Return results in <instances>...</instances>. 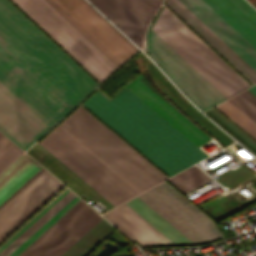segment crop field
Masks as SVG:
<instances>
[{"label": "crop field", "mask_w": 256, "mask_h": 256, "mask_svg": "<svg viewBox=\"0 0 256 256\" xmlns=\"http://www.w3.org/2000/svg\"><path fill=\"white\" fill-rule=\"evenodd\" d=\"M98 84L0 0V130L26 150Z\"/></svg>", "instance_id": "1"}, {"label": "crop field", "mask_w": 256, "mask_h": 256, "mask_svg": "<svg viewBox=\"0 0 256 256\" xmlns=\"http://www.w3.org/2000/svg\"><path fill=\"white\" fill-rule=\"evenodd\" d=\"M72 112L104 139L113 134L80 106ZM72 112L38 143L111 204L167 179L117 136L104 140Z\"/></svg>", "instance_id": "2"}, {"label": "crop field", "mask_w": 256, "mask_h": 256, "mask_svg": "<svg viewBox=\"0 0 256 256\" xmlns=\"http://www.w3.org/2000/svg\"><path fill=\"white\" fill-rule=\"evenodd\" d=\"M170 176L208 157L211 140L137 78L111 101L99 90L83 103Z\"/></svg>", "instance_id": "3"}, {"label": "crop field", "mask_w": 256, "mask_h": 256, "mask_svg": "<svg viewBox=\"0 0 256 256\" xmlns=\"http://www.w3.org/2000/svg\"><path fill=\"white\" fill-rule=\"evenodd\" d=\"M37 24L56 7L119 65L138 49L85 0H12ZM38 25L64 49L83 32L58 9ZM65 50L100 82L119 65L85 34Z\"/></svg>", "instance_id": "4"}, {"label": "crop field", "mask_w": 256, "mask_h": 256, "mask_svg": "<svg viewBox=\"0 0 256 256\" xmlns=\"http://www.w3.org/2000/svg\"><path fill=\"white\" fill-rule=\"evenodd\" d=\"M151 30L226 98L250 86L165 7Z\"/></svg>", "instance_id": "5"}, {"label": "crop field", "mask_w": 256, "mask_h": 256, "mask_svg": "<svg viewBox=\"0 0 256 256\" xmlns=\"http://www.w3.org/2000/svg\"><path fill=\"white\" fill-rule=\"evenodd\" d=\"M167 5L253 84L256 50L203 0H169Z\"/></svg>", "instance_id": "6"}, {"label": "crop field", "mask_w": 256, "mask_h": 256, "mask_svg": "<svg viewBox=\"0 0 256 256\" xmlns=\"http://www.w3.org/2000/svg\"><path fill=\"white\" fill-rule=\"evenodd\" d=\"M137 197L194 244L223 238L217 224L165 181Z\"/></svg>", "instance_id": "7"}, {"label": "crop field", "mask_w": 256, "mask_h": 256, "mask_svg": "<svg viewBox=\"0 0 256 256\" xmlns=\"http://www.w3.org/2000/svg\"><path fill=\"white\" fill-rule=\"evenodd\" d=\"M103 216L141 247L193 244L137 197Z\"/></svg>", "instance_id": "8"}, {"label": "crop field", "mask_w": 256, "mask_h": 256, "mask_svg": "<svg viewBox=\"0 0 256 256\" xmlns=\"http://www.w3.org/2000/svg\"><path fill=\"white\" fill-rule=\"evenodd\" d=\"M147 47L148 55L200 109L205 111L226 99L152 31Z\"/></svg>", "instance_id": "9"}, {"label": "crop field", "mask_w": 256, "mask_h": 256, "mask_svg": "<svg viewBox=\"0 0 256 256\" xmlns=\"http://www.w3.org/2000/svg\"><path fill=\"white\" fill-rule=\"evenodd\" d=\"M64 186L43 169L0 207V243Z\"/></svg>", "instance_id": "10"}, {"label": "crop field", "mask_w": 256, "mask_h": 256, "mask_svg": "<svg viewBox=\"0 0 256 256\" xmlns=\"http://www.w3.org/2000/svg\"><path fill=\"white\" fill-rule=\"evenodd\" d=\"M70 192V190L65 188L5 243H3L0 246V256H19L76 204H78L81 200L76 197L74 193L70 194Z\"/></svg>", "instance_id": "11"}, {"label": "crop field", "mask_w": 256, "mask_h": 256, "mask_svg": "<svg viewBox=\"0 0 256 256\" xmlns=\"http://www.w3.org/2000/svg\"><path fill=\"white\" fill-rule=\"evenodd\" d=\"M256 49V11L245 0H204Z\"/></svg>", "instance_id": "12"}, {"label": "crop field", "mask_w": 256, "mask_h": 256, "mask_svg": "<svg viewBox=\"0 0 256 256\" xmlns=\"http://www.w3.org/2000/svg\"><path fill=\"white\" fill-rule=\"evenodd\" d=\"M148 73L155 85L169 97L178 107H180L187 115H189L200 126L211 133L225 146L234 142L230 137L220 131L208 119L198 113L185 98L171 85V83L159 72V70L146 58ZM216 139V140H217ZM222 144V145H223ZM223 145V146H224Z\"/></svg>", "instance_id": "13"}, {"label": "crop field", "mask_w": 256, "mask_h": 256, "mask_svg": "<svg viewBox=\"0 0 256 256\" xmlns=\"http://www.w3.org/2000/svg\"><path fill=\"white\" fill-rule=\"evenodd\" d=\"M108 19L141 47L146 24L120 0H89Z\"/></svg>", "instance_id": "14"}, {"label": "crop field", "mask_w": 256, "mask_h": 256, "mask_svg": "<svg viewBox=\"0 0 256 256\" xmlns=\"http://www.w3.org/2000/svg\"><path fill=\"white\" fill-rule=\"evenodd\" d=\"M101 219L89 208L36 256H61Z\"/></svg>", "instance_id": "15"}, {"label": "crop field", "mask_w": 256, "mask_h": 256, "mask_svg": "<svg viewBox=\"0 0 256 256\" xmlns=\"http://www.w3.org/2000/svg\"><path fill=\"white\" fill-rule=\"evenodd\" d=\"M41 168L24 155L0 175V205Z\"/></svg>", "instance_id": "16"}, {"label": "crop field", "mask_w": 256, "mask_h": 256, "mask_svg": "<svg viewBox=\"0 0 256 256\" xmlns=\"http://www.w3.org/2000/svg\"><path fill=\"white\" fill-rule=\"evenodd\" d=\"M89 207L82 201L20 256H35Z\"/></svg>", "instance_id": "17"}, {"label": "crop field", "mask_w": 256, "mask_h": 256, "mask_svg": "<svg viewBox=\"0 0 256 256\" xmlns=\"http://www.w3.org/2000/svg\"><path fill=\"white\" fill-rule=\"evenodd\" d=\"M167 180L185 195L212 181L196 166H193Z\"/></svg>", "instance_id": "18"}, {"label": "crop field", "mask_w": 256, "mask_h": 256, "mask_svg": "<svg viewBox=\"0 0 256 256\" xmlns=\"http://www.w3.org/2000/svg\"><path fill=\"white\" fill-rule=\"evenodd\" d=\"M256 140V124L228 100L215 106Z\"/></svg>", "instance_id": "19"}, {"label": "crop field", "mask_w": 256, "mask_h": 256, "mask_svg": "<svg viewBox=\"0 0 256 256\" xmlns=\"http://www.w3.org/2000/svg\"><path fill=\"white\" fill-rule=\"evenodd\" d=\"M129 9H131L147 25L153 17L161 0H121ZM130 10V11H131ZM131 11V12H132ZM142 21V22H143ZM143 22V23H144Z\"/></svg>", "instance_id": "20"}, {"label": "crop field", "mask_w": 256, "mask_h": 256, "mask_svg": "<svg viewBox=\"0 0 256 256\" xmlns=\"http://www.w3.org/2000/svg\"><path fill=\"white\" fill-rule=\"evenodd\" d=\"M228 100L256 122V97L250 92L245 90Z\"/></svg>", "instance_id": "21"}, {"label": "crop field", "mask_w": 256, "mask_h": 256, "mask_svg": "<svg viewBox=\"0 0 256 256\" xmlns=\"http://www.w3.org/2000/svg\"><path fill=\"white\" fill-rule=\"evenodd\" d=\"M8 139L0 133V146ZM22 153L9 140L0 147V172Z\"/></svg>", "instance_id": "22"}, {"label": "crop field", "mask_w": 256, "mask_h": 256, "mask_svg": "<svg viewBox=\"0 0 256 256\" xmlns=\"http://www.w3.org/2000/svg\"><path fill=\"white\" fill-rule=\"evenodd\" d=\"M210 111H212L216 116H218L221 120H223L227 125H229L232 129H234L238 134H240L243 138H245L254 147H256V143L252 139H250L247 135H245L242 131H240L236 126H234L230 121H228L218 111H216L214 108L210 109Z\"/></svg>", "instance_id": "23"}, {"label": "crop field", "mask_w": 256, "mask_h": 256, "mask_svg": "<svg viewBox=\"0 0 256 256\" xmlns=\"http://www.w3.org/2000/svg\"><path fill=\"white\" fill-rule=\"evenodd\" d=\"M249 91H251L256 96V85L248 88Z\"/></svg>", "instance_id": "24"}, {"label": "crop field", "mask_w": 256, "mask_h": 256, "mask_svg": "<svg viewBox=\"0 0 256 256\" xmlns=\"http://www.w3.org/2000/svg\"><path fill=\"white\" fill-rule=\"evenodd\" d=\"M254 7H256V0H248Z\"/></svg>", "instance_id": "25"}, {"label": "crop field", "mask_w": 256, "mask_h": 256, "mask_svg": "<svg viewBox=\"0 0 256 256\" xmlns=\"http://www.w3.org/2000/svg\"><path fill=\"white\" fill-rule=\"evenodd\" d=\"M163 1V0H162Z\"/></svg>", "instance_id": "26"}]
</instances>
